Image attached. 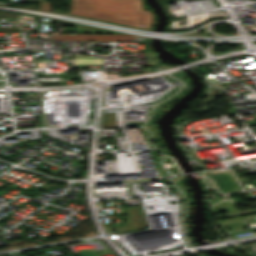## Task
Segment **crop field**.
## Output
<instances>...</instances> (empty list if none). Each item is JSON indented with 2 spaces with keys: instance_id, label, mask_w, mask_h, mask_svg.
<instances>
[{
  "instance_id": "3",
  "label": "crop field",
  "mask_w": 256,
  "mask_h": 256,
  "mask_svg": "<svg viewBox=\"0 0 256 256\" xmlns=\"http://www.w3.org/2000/svg\"><path fill=\"white\" fill-rule=\"evenodd\" d=\"M118 218L125 219V223L123 224V226L112 228V225L103 224L106 233L113 232V229H115L117 233H124L148 227L145 221L144 214L119 216Z\"/></svg>"
},
{
  "instance_id": "5",
  "label": "crop field",
  "mask_w": 256,
  "mask_h": 256,
  "mask_svg": "<svg viewBox=\"0 0 256 256\" xmlns=\"http://www.w3.org/2000/svg\"><path fill=\"white\" fill-rule=\"evenodd\" d=\"M40 2V11L51 12V3L48 0H39Z\"/></svg>"
},
{
  "instance_id": "1",
  "label": "crop field",
  "mask_w": 256,
  "mask_h": 256,
  "mask_svg": "<svg viewBox=\"0 0 256 256\" xmlns=\"http://www.w3.org/2000/svg\"><path fill=\"white\" fill-rule=\"evenodd\" d=\"M67 14L148 30L154 22L152 11L143 10L142 0H71Z\"/></svg>"
},
{
  "instance_id": "2",
  "label": "crop field",
  "mask_w": 256,
  "mask_h": 256,
  "mask_svg": "<svg viewBox=\"0 0 256 256\" xmlns=\"http://www.w3.org/2000/svg\"><path fill=\"white\" fill-rule=\"evenodd\" d=\"M51 39L58 40H78V41H121V42H148L145 37L134 35H62V34H50Z\"/></svg>"
},
{
  "instance_id": "4",
  "label": "crop field",
  "mask_w": 256,
  "mask_h": 256,
  "mask_svg": "<svg viewBox=\"0 0 256 256\" xmlns=\"http://www.w3.org/2000/svg\"><path fill=\"white\" fill-rule=\"evenodd\" d=\"M64 25L76 26V33L124 34L63 21Z\"/></svg>"
}]
</instances>
